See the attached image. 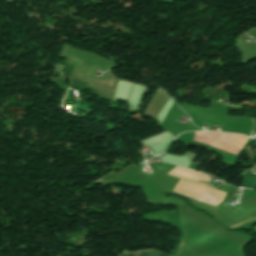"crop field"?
Here are the masks:
<instances>
[{
    "label": "crop field",
    "instance_id": "obj_1",
    "mask_svg": "<svg viewBox=\"0 0 256 256\" xmlns=\"http://www.w3.org/2000/svg\"><path fill=\"white\" fill-rule=\"evenodd\" d=\"M147 252H148V251H146V252H140V253H132V254H124V253H122L121 256H146ZM157 256H167V255H165V254L159 252Z\"/></svg>",
    "mask_w": 256,
    "mask_h": 256
},
{
    "label": "crop field",
    "instance_id": "obj_2",
    "mask_svg": "<svg viewBox=\"0 0 256 256\" xmlns=\"http://www.w3.org/2000/svg\"><path fill=\"white\" fill-rule=\"evenodd\" d=\"M243 198V197H242ZM246 200H248L249 202L253 203L256 205V198H244Z\"/></svg>",
    "mask_w": 256,
    "mask_h": 256
}]
</instances>
